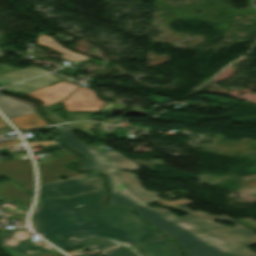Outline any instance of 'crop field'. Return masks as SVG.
Segmentation results:
<instances>
[{"instance_id": "obj_1", "label": "crop field", "mask_w": 256, "mask_h": 256, "mask_svg": "<svg viewBox=\"0 0 256 256\" xmlns=\"http://www.w3.org/2000/svg\"><path fill=\"white\" fill-rule=\"evenodd\" d=\"M64 144L85 154L80 169H92L104 174L112 188L108 204L131 207L149 224L174 239L186 252V256H256L248 247L256 244V233L227 216L210 215L198 210L192 213L183 199L175 202L160 200L157 192L145 191L137 179L125 172L106 165L102 155L77 138L68 125L59 126ZM156 202L187 212L178 217L167 209L152 208L147 203ZM223 219L236 225L230 228L212 220Z\"/></svg>"}, {"instance_id": "obj_2", "label": "crop field", "mask_w": 256, "mask_h": 256, "mask_svg": "<svg viewBox=\"0 0 256 256\" xmlns=\"http://www.w3.org/2000/svg\"><path fill=\"white\" fill-rule=\"evenodd\" d=\"M105 194L43 198L31 216L32 227L63 250L100 236L129 246L163 238L129 210L102 206Z\"/></svg>"}, {"instance_id": "obj_3", "label": "crop field", "mask_w": 256, "mask_h": 256, "mask_svg": "<svg viewBox=\"0 0 256 256\" xmlns=\"http://www.w3.org/2000/svg\"><path fill=\"white\" fill-rule=\"evenodd\" d=\"M77 87L79 86L61 81L53 86L45 87L33 93L27 94V96L44 101V108L52 103L64 99ZM85 93L88 95L85 96ZM68 98L69 100H65V107L67 111H99L105 104V102L100 101V99L95 96V92L84 87L78 88ZM86 100L89 101L86 102Z\"/></svg>"}, {"instance_id": "obj_4", "label": "crop field", "mask_w": 256, "mask_h": 256, "mask_svg": "<svg viewBox=\"0 0 256 256\" xmlns=\"http://www.w3.org/2000/svg\"><path fill=\"white\" fill-rule=\"evenodd\" d=\"M104 189L100 178L88 173L65 181L41 185L42 194L48 197L61 198Z\"/></svg>"}, {"instance_id": "obj_5", "label": "crop field", "mask_w": 256, "mask_h": 256, "mask_svg": "<svg viewBox=\"0 0 256 256\" xmlns=\"http://www.w3.org/2000/svg\"><path fill=\"white\" fill-rule=\"evenodd\" d=\"M60 157L58 159H53L50 161L37 162L39 172L42 173L40 176V183H48L52 181L60 180L55 174L58 173L62 177L70 178L74 176H78L85 173L73 172L65 167L66 164L75 161L79 158L78 155L68 151L61 150Z\"/></svg>"}, {"instance_id": "obj_6", "label": "crop field", "mask_w": 256, "mask_h": 256, "mask_svg": "<svg viewBox=\"0 0 256 256\" xmlns=\"http://www.w3.org/2000/svg\"><path fill=\"white\" fill-rule=\"evenodd\" d=\"M12 233V235H10ZM9 234L0 237V243L5 244L6 246L22 252L27 255H40L46 253L56 252L50 245L43 241L31 242L27 238L34 236L28 229H16ZM27 241L30 245L23 243L22 241Z\"/></svg>"}, {"instance_id": "obj_7", "label": "crop field", "mask_w": 256, "mask_h": 256, "mask_svg": "<svg viewBox=\"0 0 256 256\" xmlns=\"http://www.w3.org/2000/svg\"><path fill=\"white\" fill-rule=\"evenodd\" d=\"M5 175H10L13 179L21 182L24 189L32 192L34 173L29 156L0 163V177Z\"/></svg>"}, {"instance_id": "obj_8", "label": "crop field", "mask_w": 256, "mask_h": 256, "mask_svg": "<svg viewBox=\"0 0 256 256\" xmlns=\"http://www.w3.org/2000/svg\"><path fill=\"white\" fill-rule=\"evenodd\" d=\"M132 248L140 256H179V250L166 239L133 246Z\"/></svg>"}, {"instance_id": "obj_9", "label": "crop field", "mask_w": 256, "mask_h": 256, "mask_svg": "<svg viewBox=\"0 0 256 256\" xmlns=\"http://www.w3.org/2000/svg\"><path fill=\"white\" fill-rule=\"evenodd\" d=\"M16 201L20 200L28 207L31 206L32 197L22 190L19 185L13 181L0 183V201Z\"/></svg>"}, {"instance_id": "obj_10", "label": "crop field", "mask_w": 256, "mask_h": 256, "mask_svg": "<svg viewBox=\"0 0 256 256\" xmlns=\"http://www.w3.org/2000/svg\"><path fill=\"white\" fill-rule=\"evenodd\" d=\"M59 80H55V76L51 74H47L35 79H31L25 82H21L15 85L8 86L6 89L13 92H20L23 94H27L33 92L41 87H45L51 84H54Z\"/></svg>"}, {"instance_id": "obj_11", "label": "crop field", "mask_w": 256, "mask_h": 256, "mask_svg": "<svg viewBox=\"0 0 256 256\" xmlns=\"http://www.w3.org/2000/svg\"><path fill=\"white\" fill-rule=\"evenodd\" d=\"M0 110L9 118L35 113V108L0 94Z\"/></svg>"}, {"instance_id": "obj_12", "label": "crop field", "mask_w": 256, "mask_h": 256, "mask_svg": "<svg viewBox=\"0 0 256 256\" xmlns=\"http://www.w3.org/2000/svg\"><path fill=\"white\" fill-rule=\"evenodd\" d=\"M37 42L38 44L45 45L47 47L55 49L57 52L61 53V56H60L61 58L69 61H74V60L80 61L84 59H90L89 57H86L65 49L59 43L55 42L53 37H50L40 31L38 33Z\"/></svg>"}, {"instance_id": "obj_13", "label": "crop field", "mask_w": 256, "mask_h": 256, "mask_svg": "<svg viewBox=\"0 0 256 256\" xmlns=\"http://www.w3.org/2000/svg\"><path fill=\"white\" fill-rule=\"evenodd\" d=\"M45 72L47 71L40 69L38 67H28L23 70H19L16 72H12V73L0 76V84H3V85L12 84V83L31 78Z\"/></svg>"}, {"instance_id": "obj_14", "label": "crop field", "mask_w": 256, "mask_h": 256, "mask_svg": "<svg viewBox=\"0 0 256 256\" xmlns=\"http://www.w3.org/2000/svg\"><path fill=\"white\" fill-rule=\"evenodd\" d=\"M109 165L117 169L139 170L140 166L116 151L103 152Z\"/></svg>"}, {"instance_id": "obj_15", "label": "crop field", "mask_w": 256, "mask_h": 256, "mask_svg": "<svg viewBox=\"0 0 256 256\" xmlns=\"http://www.w3.org/2000/svg\"><path fill=\"white\" fill-rule=\"evenodd\" d=\"M11 120L20 130L48 125L38 113L12 118Z\"/></svg>"}, {"instance_id": "obj_16", "label": "crop field", "mask_w": 256, "mask_h": 256, "mask_svg": "<svg viewBox=\"0 0 256 256\" xmlns=\"http://www.w3.org/2000/svg\"><path fill=\"white\" fill-rule=\"evenodd\" d=\"M105 256H137L130 248L119 246L102 253Z\"/></svg>"}, {"instance_id": "obj_17", "label": "crop field", "mask_w": 256, "mask_h": 256, "mask_svg": "<svg viewBox=\"0 0 256 256\" xmlns=\"http://www.w3.org/2000/svg\"><path fill=\"white\" fill-rule=\"evenodd\" d=\"M90 245H94V246H96V248L92 249V248L89 247ZM85 246L87 247V249H92L96 252H99L101 250L108 249L110 247L116 246V244H113V243H110V242H105V241H92V242L86 244Z\"/></svg>"}, {"instance_id": "obj_18", "label": "crop field", "mask_w": 256, "mask_h": 256, "mask_svg": "<svg viewBox=\"0 0 256 256\" xmlns=\"http://www.w3.org/2000/svg\"><path fill=\"white\" fill-rule=\"evenodd\" d=\"M4 252H6L9 256H24L22 254H19L17 252H14L6 247L1 248ZM40 256H64L60 253H53V254H46V255H40Z\"/></svg>"}, {"instance_id": "obj_19", "label": "crop field", "mask_w": 256, "mask_h": 256, "mask_svg": "<svg viewBox=\"0 0 256 256\" xmlns=\"http://www.w3.org/2000/svg\"><path fill=\"white\" fill-rule=\"evenodd\" d=\"M51 144H55L54 141H40V142L28 143L29 147L39 146V145H51Z\"/></svg>"}, {"instance_id": "obj_20", "label": "crop field", "mask_w": 256, "mask_h": 256, "mask_svg": "<svg viewBox=\"0 0 256 256\" xmlns=\"http://www.w3.org/2000/svg\"><path fill=\"white\" fill-rule=\"evenodd\" d=\"M20 142H21V140H15V141H10V142H6V143H1L0 147L11 145V144H16V143H20Z\"/></svg>"}, {"instance_id": "obj_21", "label": "crop field", "mask_w": 256, "mask_h": 256, "mask_svg": "<svg viewBox=\"0 0 256 256\" xmlns=\"http://www.w3.org/2000/svg\"><path fill=\"white\" fill-rule=\"evenodd\" d=\"M8 127L7 124L0 119V128H6Z\"/></svg>"}, {"instance_id": "obj_22", "label": "crop field", "mask_w": 256, "mask_h": 256, "mask_svg": "<svg viewBox=\"0 0 256 256\" xmlns=\"http://www.w3.org/2000/svg\"><path fill=\"white\" fill-rule=\"evenodd\" d=\"M92 62H95V63L100 64V65L103 64V61H100V60H95V61H92Z\"/></svg>"}, {"instance_id": "obj_23", "label": "crop field", "mask_w": 256, "mask_h": 256, "mask_svg": "<svg viewBox=\"0 0 256 256\" xmlns=\"http://www.w3.org/2000/svg\"><path fill=\"white\" fill-rule=\"evenodd\" d=\"M106 63H109V62H106ZM110 64H112L113 66H115L116 68H118L119 70H124L123 68H120L119 66H117V65H115V64H113V63H110Z\"/></svg>"}]
</instances>
